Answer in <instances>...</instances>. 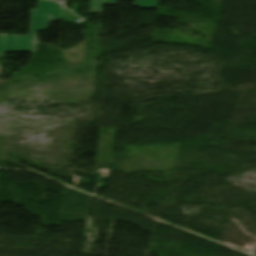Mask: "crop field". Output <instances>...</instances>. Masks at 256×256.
<instances>
[{
    "label": "crop field",
    "mask_w": 256,
    "mask_h": 256,
    "mask_svg": "<svg viewBox=\"0 0 256 256\" xmlns=\"http://www.w3.org/2000/svg\"><path fill=\"white\" fill-rule=\"evenodd\" d=\"M105 0H91L89 14H101Z\"/></svg>",
    "instance_id": "obj_3"
},
{
    "label": "crop field",
    "mask_w": 256,
    "mask_h": 256,
    "mask_svg": "<svg viewBox=\"0 0 256 256\" xmlns=\"http://www.w3.org/2000/svg\"><path fill=\"white\" fill-rule=\"evenodd\" d=\"M116 0H106L105 5H115ZM160 0H135L134 6L147 9L159 8Z\"/></svg>",
    "instance_id": "obj_2"
},
{
    "label": "crop field",
    "mask_w": 256,
    "mask_h": 256,
    "mask_svg": "<svg viewBox=\"0 0 256 256\" xmlns=\"http://www.w3.org/2000/svg\"><path fill=\"white\" fill-rule=\"evenodd\" d=\"M64 7L49 0L37 1V10L31 11L30 36L0 35V53L36 51L37 32L49 28V23L61 20Z\"/></svg>",
    "instance_id": "obj_1"
}]
</instances>
